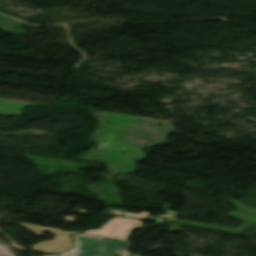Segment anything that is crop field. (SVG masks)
I'll return each mask as SVG.
<instances>
[{"label": "crop field", "instance_id": "1", "mask_svg": "<svg viewBox=\"0 0 256 256\" xmlns=\"http://www.w3.org/2000/svg\"><path fill=\"white\" fill-rule=\"evenodd\" d=\"M108 239L107 242L103 241ZM74 247L62 256H125L131 241L79 234L73 237Z\"/></svg>", "mask_w": 256, "mask_h": 256}, {"label": "crop field", "instance_id": "2", "mask_svg": "<svg viewBox=\"0 0 256 256\" xmlns=\"http://www.w3.org/2000/svg\"><path fill=\"white\" fill-rule=\"evenodd\" d=\"M17 224L28 229L29 231H31L36 235H43V231H50L55 235L54 240L42 241L32 246L34 249H39V250L60 252V251L69 249L72 246V243L69 237L72 234H77L75 232H63V230H60V229L37 226L32 224H26V223H20V222H17Z\"/></svg>", "mask_w": 256, "mask_h": 256}, {"label": "crop field", "instance_id": "3", "mask_svg": "<svg viewBox=\"0 0 256 256\" xmlns=\"http://www.w3.org/2000/svg\"><path fill=\"white\" fill-rule=\"evenodd\" d=\"M143 221L117 218L110 221L107 225L98 231H88L86 233L99 235L104 237L119 238L128 240L131 232L134 228L145 230V226H142Z\"/></svg>", "mask_w": 256, "mask_h": 256}, {"label": "crop field", "instance_id": "4", "mask_svg": "<svg viewBox=\"0 0 256 256\" xmlns=\"http://www.w3.org/2000/svg\"><path fill=\"white\" fill-rule=\"evenodd\" d=\"M148 216H149V213L143 212V213H140L139 215L135 216V218L145 219Z\"/></svg>", "mask_w": 256, "mask_h": 256}, {"label": "crop field", "instance_id": "5", "mask_svg": "<svg viewBox=\"0 0 256 256\" xmlns=\"http://www.w3.org/2000/svg\"><path fill=\"white\" fill-rule=\"evenodd\" d=\"M0 256H9V255L6 254V253L0 248Z\"/></svg>", "mask_w": 256, "mask_h": 256}, {"label": "crop field", "instance_id": "6", "mask_svg": "<svg viewBox=\"0 0 256 256\" xmlns=\"http://www.w3.org/2000/svg\"><path fill=\"white\" fill-rule=\"evenodd\" d=\"M127 256H137V255H132V254L128 253V255H127Z\"/></svg>", "mask_w": 256, "mask_h": 256}]
</instances>
